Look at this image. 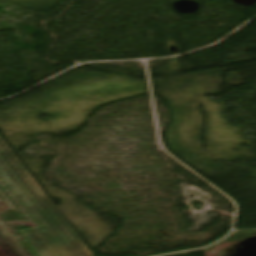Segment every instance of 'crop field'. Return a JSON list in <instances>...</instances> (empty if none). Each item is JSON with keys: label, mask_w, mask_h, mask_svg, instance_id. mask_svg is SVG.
Wrapping results in <instances>:
<instances>
[{"label": "crop field", "mask_w": 256, "mask_h": 256, "mask_svg": "<svg viewBox=\"0 0 256 256\" xmlns=\"http://www.w3.org/2000/svg\"><path fill=\"white\" fill-rule=\"evenodd\" d=\"M0 176L40 226L21 232L40 256H92L1 138Z\"/></svg>", "instance_id": "obj_1"}]
</instances>
